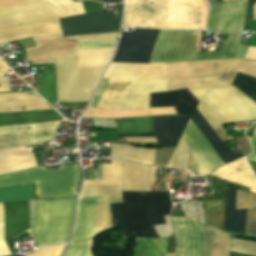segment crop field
I'll use <instances>...</instances> for the list:
<instances>
[{"mask_svg": "<svg viewBox=\"0 0 256 256\" xmlns=\"http://www.w3.org/2000/svg\"><path fill=\"white\" fill-rule=\"evenodd\" d=\"M177 241L176 253H166L168 238L138 239L134 256H207L208 240L205 228L195 218H171ZM219 256H228L230 241L227 233L217 231ZM231 251L256 256V243L234 240Z\"/></svg>", "mask_w": 256, "mask_h": 256, "instance_id": "obj_1", "label": "crop field"}, {"mask_svg": "<svg viewBox=\"0 0 256 256\" xmlns=\"http://www.w3.org/2000/svg\"><path fill=\"white\" fill-rule=\"evenodd\" d=\"M114 49L79 50V56L55 58L57 102H88Z\"/></svg>", "mask_w": 256, "mask_h": 256, "instance_id": "obj_2", "label": "crop field"}, {"mask_svg": "<svg viewBox=\"0 0 256 256\" xmlns=\"http://www.w3.org/2000/svg\"><path fill=\"white\" fill-rule=\"evenodd\" d=\"M203 0H126L123 25L201 29Z\"/></svg>", "mask_w": 256, "mask_h": 256, "instance_id": "obj_3", "label": "crop field"}, {"mask_svg": "<svg viewBox=\"0 0 256 256\" xmlns=\"http://www.w3.org/2000/svg\"><path fill=\"white\" fill-rule=\"evenodd\" d=\"M171 205L169 192H123L122 203L110 204L112 221L121 236L159 238L152 225L165 223Z\"/></svg>", "mask_w": 256, "mask_h": 256, "instance_id": "obj_4", "label": "crop field"}, {"mask_svg": "<svg viewBox=\"0 0 256 256\" xmlns=\"http://www.w3.org/2000/svg\"><path fill=\"white\" fill-rule=\"evenodd\" d=\"M200 102L198 110L212 127L251 120L256 103L232 85L188 89Z\"/></svg>", "mask_w": 256, "mask_h": 256, "instance_id": "obj_5", "label": "crop field"}, {"mask_svg": "<svg viewBox=\"0 0 256 256\" xmlns=\"http://www.w3.org/2000/svg\"><path fill=\"white\" fill-rule=\"evenodd\" d=\"M76 193L38 196L31 235L36 245L66 242L72 226Z\"/></svg>", "mask_w": 256, "mask_h": 256, "instance_id": "obj_6", "label": "crop field"}, {"mask_svg": "<svg viewBox=\"0 0 256 256\" xmlns=\"http://www.w3.org/2000/svg\"><path fill=\"white\" fill-rule=\"evenodd\" d=\"M241 34H229L223 51L196 52L198 31L160 30L149 63L233 59Z\"/></svg>", "mask_w": 256, "mask_h": 256, "instance_id": "obj_7", "label": "crop field"}, {"mask_svg": "<svg viewBox=\"0 0 256 256\" xmlns=\"http://www.w3.org/2000/svg\"><path fill=\"white\" fill-rule=\"evenodd\" d=\"M193 114V113H192ZM193 122L224 161L225 164L238 159L220 140V138L211 129L199 111L195 110L192 118ZM190 119L184 133L183 137L193 149L198 158L202 161L208 171H212L214 168L224 165L222 160L215 153L213 148L195 126V124ZM192 152V159L190 165L197 172L198 175H204L209 173L204 165L200 162L197 156Z\"/></svg>", "mask_w": 256, "mask_h": 256, "instance_id": "obj_8", "label": "crop field"}, {"mask_svg": "<svg viewBox=\"0 0 256 256\" xmlns=\"http://www.w3.org/2000/svg\"><path fill=\"white\" fill-rule=\"evenodd\" d=\"M80 181L78 165L44 171L43 166L0 176V187L35 183L36 195L75 192Z\"/></svg>", "mask_w": 256, "mask_h": 256, "instance_id": "obj_9", "label": "crop field"}, {"mask_svg": "<svg viewBox=\"0 0 256 256\" xmlns=\"http://www.w3.org/2000/svg\"><path fill=\"white\" fill-rule=\"evenodd\" d=\"M164 91H168L167 77L143 80L111 79L97 107H149V93Z\"/></svg>", "mask_w": 256, "mask_h": 256, "instance_id": "obj_10", "label": "crop field"}, {"mask_svg": "<svg viewBox=\"0 0 256 256\" xmlns=\"http://www.w3.org/2000/svg\"><path fill=\"white\" fill-rule=\"evenodd\" d=\"M33 200L32 186L0 189V202ZM6 241L29 228L27 201L3 203ZM3 208L0 204V256L10 255L3 232Z\"/></svg>", "mask_w": 256, "mask_h": 256, "instance_id": "obj_11", "label": "crop field"}, {"mask_svg": "<svg viewBox=\"0 0 256 256\" xmlns=\"http://www.w3.org/2000/svg\"><path fill=\"white\" fill-rule=\"evenodd\" d=\"M52 109L36 96L26 93H0V111ZM62 117L54 109L0 112V126L34 123L37 120Z\"/></svg>", "mask_w": 256, "mask_h": 256, "instance_id": "obj_12", "label": "crop field"}, {"mask_svg": "<svg viewBox=\"0 0 256 256\" xmlns=\"http://www.w3.org/2000/svg\"><path fill=\"white\" fill-rule=\"evenodd\" d=\"M236 189L227 185L224 196L223 229L244 233L247 210L235 211ZM245 233L256 236V195L237 189L236 209H246Z\"/></svg>", "mask_w": 256, "mask_h": 256, "instance_id": "obj_13", "label": "crop field"}, {"mask_svg": "<svg viewBox=\"0 0 256 256\" xmlns=\"http://www.w3.org/2000/svg\"><path fill=\"white\" fill-rule=\"evenodd\" d=\"M104 198L105 197L79 199L76 224H75L73 236L70 242L90 239L94 234L99 232V230L97 229L100 228V224L102 220L104 200H98L97 206H96V200L104 199ZM115 202H121V196L106 197L103 221H102V226L100 231L103 229L112 227L109 203H115ZM95 206H96V214H95ZM94 214H95V221H94ZM93 221H94V227H93ZM92 227H93V232L95 230L97 231L91 234Z\"/></svg>", "mask_w": 256, "mask_h": 256, "instance_id": "obj_14", "label": "crop field"}, {"mask_svg": "<svg viewBox=\"0 0 256 256\" xmlns=\"http://www.w3.org/2000/svg\"><path fill=\"white\" fill-rule=\"evenodd\" d=\"M53 7L46 0H30L10 5L0 6V16L15 13L33 11L38 9ZM55 8L38 10L33 12L21 13L16 15L0 17V28L12 27L17 25L35 23L51 19L63 18Z\"/></svg>", "mask_w": 256, "mask_h": 256, "instance_id": "obj_15", "label": "crop field"}, {"mask_svg": "<svg viewBox=\"0 0 256 256\" xmlns=\"http://www.w3.org/2000/svg\"><path fill=\"white\" fill-rule=\"evenodd\" d=\"M159 30L135 28L122 32L113 62L148 63Z\"/></svg>", "mask_w": 256, "mask_h": 256, "instance_id": "obj_16", "label": "crop field"}, {"mask_svg": "<svg viewBox=\"0 0 256 256\" xmlns=\"http://www.w3.org/2000/svg\"><path fill=\"white\" fill-rule=\"evenodd\" d=\"M35 45L26 49V61L33 64L54 63V57L78 55L77 36L62 37V34L32 38Z\"/></svg>", "mask_w": 256, "mask_h": 256, "instance_id": "obj_17", "label": "crop field"}, {"mask_svg": "<svg viewBox=\"0 0 256 256\" xmlns=\"http://www.w3.org/2000/svg\"><path fill=\"white\" fill-rule=\"evenodd\" d=\"M59 123L0 127V149L52 140Z\"/></svg>", "mask_w": 256, "mask_h": 256, "instance_id": "obj_18", "label": "crop field"}, {"mask_svg": "<svg viewBox=\"0 0 256 256\" xmlns=\"http://www.w3.org/2000/svg\"><path fill=\"white\" fill-rule=\"evenodd\" d=\"M246 0L218 3L210 6L206 30L214 32H235L244 30L243 18Z\"/></svg>", "mask_w": 256, "mask_h": 256, "instance_id": "obj_19", "label": "crop field"}, {"mask_svg": "<svg viewBox=\"0 0 256 256\" xmlns=\"http://www.w3.org/2000/svg\"><path fill=\"white\" fill-rule=\"evenodd\" d=\"M191 115L154 117L153 133L117 135V137H156L157 146L176 147Z\"/></svg>", "mask_w": 256, "mask_h": 256, "instance_id": "obj_20", "label": "crop field"}, {"mask_svg": "<svg viewBox=\"0 0 256 256\" xmlns=\"http://www.w3.org/2000/svg\"><path fill=\"white\" fill-rule=\"evenodd\" d=\"M63 36L113 32L114 15L92 13L60 19Z\"/></svg>", "mask_w": 256, "mask_h": 256, "instance_id": "obj_21", "label": "crop field"}, {"mask_svg": "<svg viewBox=\"0 0 256 256\" xmlns=\"http://www.w3.org/2000/svg\"><path fill=\"white\" fill-rule=\"evenodd\" d=\"M167 76L165 63L119 64L111 63L104 77L143 79Z\"/></svg>", "mask_w": 256, "mask_h": 256, "instance_id": "obj_22", "label": "crop field"}, {"mask_svg": "<svg viewBox=\"0 0 256 256\" xmlns=\"http://www.w3.org/2000/svg\"><path fill=\"white\" fill-rule=\"evenodd\" d=\"M198 103L187 89L150 94V107L175 106L179 114H192Z\"/></svg>", "mask_w": 256, "mask_h": 256, "instance_id": "obj_23", "label": "crop field"}, {"mask_svg": "<svg viewBox=\"0 0 256 256\" xmlns=\"http://www.w3.org/2000/svg\"><path fill=\"white\" fill-rule=\"evenodd\" d=\"M62 33L60 21L52 20L0 30V44L38 35Z\"/></svg>", "mask_w": 256, "mask_h": 256, "instance_id": "obj_24", "label": "crop field"}, {"mask_svg": "<svg viewBox=\"0 0 256 256\" xmlns=\"http://www.w3.org/2000/svg\"><path fill=\"white\" fill-rule=\"evenodd\" d=\"M37 166L31 148L24 146L0 150V174Z\"/></svg>", "mask_w": 256, "mask_h": 256, "instance_id": "obj_25", "label": "crop field"}, {"mask_svg": "<svg viewBox=\"0 0 256 256\" xmlns=\"http://www.w3.org/2000/svg\"><path fill=\"white\" fill-rule=\"evenodd\" d=\"M211 175L249 187L250 191L256 193V178L245 160L225 165Z\"/></svg>", "mask_w": 256, "mask_h": 256, "instance_id": "obj_26", "label": "crop field"}, {"mask_svg": "<svg viewBox=\"0 0 256 256\" xmlns=\"http://www.w3.org/2000/svg\"><path fill=\"white\" fill-rule=\"evenodd\" d=\"M176 114L174 107L167 108H144L134 110H117L88 107L84 117L92 118H120L147 115Z\"/></svg>", "mask_w": 256, "mask_h": 256, "instance_id": "obj_27", "label": "crop field"}, {"mask_svg": "<svg viewBox=\"0 0 256 256\" xmlns=\"http://www.w3.org/2000/svg\"><path fill=\"white\" fill-rule=\"evenodd\" d=\"M111 157L126 158L153 165L155 159V149L136 148L130 145L113 144Z\"/></svg>", "mask_w": 256, "mask_h": 256, "instance_id": "obj_28", "label": "crop field"}, {"mask_svg": "<svg viewBox=\"0 0 256 256\" xmlns=\"http://www.w3.org/2000/svg\"><path fill=\"white\" fill-rule=\"evenodd\" d=\"M103 180L85 181L83 185H122V161L102 164Z\"/></svg>", "mask_w": 256, "mask_h": 256, "instance_id": "obj_29", "label": "crop field"}, {"mask_svg": "<svg viewBox=\"0 0 256 256\" xmlns=\"http://www.w3.org/2000/svg\"><path fill=\"white\" fill-rule=\"evenodd\" d=\"M118 127L117 134L152 132L153 117L114 120Z\"/></svg>", "mask_w": 256, "mask_h": 256, "instance_id": "obj_30", "label": "crop field"}, {"mask_svg": "<svg viewBox=\"0 0 256 256\" xmlns=\"http://www.w3.org/2000/svg\"><path fill=\"white\" fill-rule=\"evenodd\" d=\"M223 200L205 201L206 224L222 230Z\"/></svg>", "mask_w": 256, "mask_h": 256, "instance_id": "obj_31", "label": "crop field"}, {"mask_svg": "<svg viewBox=\"0 0 256 256\" xmlns=\"http://www.w3.org/2000/svg\"><path fill=\"white\" fill-rule=\"evenodd\" d=\"M38 92L49 103L56 101L55 72L41 73V91Z\"/></svg>", "mask_w": 256, "mask_h": 256, "instance_id": "obj_32", "label": "crop field"}, {"mask_svg": "<svg viewBox=\"0 0 256 256\" xmlns=\"http://www.w3.org/2000/svg\"><path fill=\"white\" fill-rule=\"evenodd\" d=\"M66 17L85 13L82 2L75 3L74 0H48Z\"/></svg>", "mask_w": 256, "mask_h": 256, "instance_id": "obj_33", "label": "crop field"}, {"mask_svg": "<svg viewBox=\"0 0 256 256\" xmlns=\"http://www.w3.org/2000/svg\"><path fill=\"white\" fill-rule=\"evenodd\" d=\"M232 85L256 102V79L238 73Z\"/></svg>", "mask_w": 256, "mask_h": 256, "instance_id": "obj_34", "label": "crop field"}, {"mask_svg": "<svg viewBox=\"0 0 256 256\" xmlns=\"http://www.w3.org/2000/svg\"><path fill=\"white\" fill-rule=\"evenodd\" d=\"M65 256H90V240L71 243Z\"/></svg>", "mask_w": 256, "mask_h": 256, "instance_id": "obj_35", "label": "crop field"}, {"mask_svg": "<svg viewBox=\"0 0 256 256\" xmlns=\"http://www.w3.org/2000/svg\"><path fill=\"white\" fill-rule=\"evenodd\" d=\"M64 245L45 247L27 256H59Z\"/></svg>", "mask_w": 256, "mask_h": 256, "instance_id": "obj_36", "label": "crop field"}, {"mask_svg": "<svg viewBox=\"0 0 256 256\" xmlns=\"http://www.w3.org/2000/svg\"><path fill=\"white\" fill-rule=\"evenodd\" d=\"M116 41L79 42V49L115 47Z\"/></svg>", "mask_w": 256, "mask_h": 256, "instance_id": "obj_37", "label": "crop field"}, {"mask_svg": "<svg viewBox=\"0 0 256 256\" xmlns=\"http://www.w3.org/2000/svg\"><path fill=\"white\" fill-rule=\"evenodd\" d=\"M117 34L118 32L107 33V34L83 35V36H78V38H79V41L116 40Z\"/></svg>", "mask_w": 256, "mask_h": 256, "instance_id": "obj_38", "label": "crop field"}, {"mask_svg": "<svg viewBox=\"0 0 256 256\" xmlns=\"http://www.w3.org/2000/svg\"><path fill=\"white\" fill-rule=\"evenodd\" d=\"M248 138H249V140L251 142V145L253 147V153H252V155L247 157V160L256 161V137H248ZM253 161H248V163L250 164L253 171L256 172V162H253Z\"/></svg>", "mask_w": 256, "mask_h": 256, "instance_id": "obj_39", "label": "crop field"}, {"mask_svg": "<svg viewBox=\"0 0 256 256\" xmlns=\"http://www.w3.org/2000/svg\"><path fill=\"white\" fill-rule=\"evenodd\" d=\"M130 143H150L157 142L155 138H125Z\"/></svg>", "mask_w": 256, "mask_h": 256, "instance_id": "obj_40", "label": "crop field"}, {"mask_svg": "<svg viewBox=\"0 0 256 256\" xmlns=\"http://www.w3.org/2000/svg\"><path fill=\"white\" fill-rule=\"evenodd\" d=\"M0 91H10L6 77H0Z\"/></svg>", "mask_w": 256, "mask_h": 256, "instance_id": "obj_41", "label": "crop field"}, {"mask_svg": "<svg viewBox=\"0 0 256 256\" xmlns=\"http://www.w3.org/2000/svg\"><path fill=\"white\" fill-rule=\"evenodd\" d=\"M9 69L3 64L0 60V76H4V72L8 71Z\"/></svg>", "mask_w": 256, "mask_h": 256, "instance_id": "obj_42", "label": "crop field"}, {"mask_svg": "<svg viewBox=\"0 0 256 256\" xmlns=\"http://www.w3.org/2000/svg\"><path fill=\"white\" fill-rule=\"evenodd\" d=\"M19 1H25V0H0V5L19 2Z\"/></svg>", "mask_w": 256, "mask_h": 256, "instance_id": "obj_43", "label": "crop field"}, {"mask_svg": "<svg viewBox=\"0 0 256 256\" xmlns=\"http://www.w3.org/2000/svg\"><path fill=\"white\" fill-rule=\"evenodd\" d=\"M99 1L110 2V3H118V2H121V0H99Z\"/></svg>", "mask_w": 256, "mask_h": 256, "instance_id": "obj_44", "label": "crop field"}, {"mask_svg": "<svg viewBox=\"0 0 256 256\" xmlns=\"http://www.w3.org/2000/svg\"><path fill=\"white\" fill-rule=\"evenodd\" d=\"M230 256H246V255H242V254H237V253L231 252Z\"/></svg>", "mask_w": 256, "mask_h": 256, "instance_id": "obj_45", "label": "crop field"}, {"mask_svg": "<svg viewBox=\"0 0 256 256\" xmlns=\"http://www.w3.org/2000/svg\"><path fill=\"white\" fill-rule=\"evenodd\" d=\"M254 19L256 20V4L254 6Z\"/></svg>", "mask_w": 256, "mask_h": 256, "instance_id": "obj_46", "label": "crop field"}, {"mask_svg": "<svg viewBox=\"0 0 256 256\" xmlns=\"http://www.w3.org/2000/svg\"><path fill=\"white\" fill-rule=\"evenodd\" d=\"M254 136H256V127H255V130H254Z\"/></svg>", "mask_w": 256, "mask_h": 256, "instance_id": "obj_47", "label": "crop field"}, {"mask_svg": "<svg viewBox=\"0 0 256 256\" xmlns=\"http://www.w3.org/2000/svg\"><path fill=\"white\" fill-rule=\"evenodd\" d=\"M224 1H229V0H223V2H224Z\"/></svg>", "mask_w": 256, "mask_h": 256, "instance_id": "obj_48", "label": "crop field"}, {"mask_svg": "<svg viewBox=\"0 0 256 256\" xmlns=\"http://www.w3.org/2000/svg\"><path fill=\"white\" fill-rule=\"evenodd\" d=\"M17 256H21V255H17Z\"/></svg>", "mask_w": 256, "mask_h": 256, "instance_id": "obj_49", "label": "crop field"}]
</instances>
